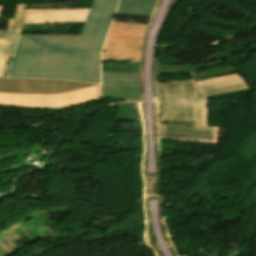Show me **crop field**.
<instances>
[{
  "instance_id": "crop-field-14",
  "label": "crop field",
  "mask_w": 256,
  "mask_h": 256,
  "mask_svg": "<svg viewBox=\"0 0 256 256\" xmlns=\"http://www.w3.org/2000/svg\"><path fill=\"white\" fill-rule=\"evenodd\" d=\"M25 3L18 4L14 19H9L6 30H21L23 24V15Z\"/></svg>"
},
{
  "instance_id": "crop-field-5",
  "label": "crop field",
  "mask_w": 256,
  "mask_h": 256,
  "mask_svg": "<svg viewBox=\"0 0 256 256\" xmlns=\"http://www.w3.org/2000/svg\"><path fill=\"white\" fill-rule=\"evenodd\" d=\"M91 85L93 84H85L65 80H30L0 78V90L41 94L61 93Z\"/></svg>"
},
{
  "instance_id": "crop-field-15",
  "label": "crop field",
  "mask_w": 256,
  "mask_h": 256,
  "mask_svg": "<svg viewBox=\"0 0 256 256\" xmlns=\"http://www.w3.org/2000/svg\"><path fill=\"white\" fill-rule=\"evenodd\" d=\"M2 59H3V58H0V67H1Z\"/></svg>"
},
{
  "instance_id": "crop-field-6",
  "label": "crop field",
  "mask_w": 256,
  "mask_h": 256,
  "mask_svg": "<svg viewBox=\"0 0 256 256\" xmlns=\"http://www.w3.org/2000/svg\"><path fill=\"white\" fill-rule=\"evenodd\" d=\"M198 103H207L206 95L248 88L237 74L195 82Z\"/></svg>"
},
{
  "instance_id": "crop-field-4",
  "label": "crop field",
  "mask_w": 256,
  "mask_h": 256,
  "mask_svg": "<svg viewBox=\"0 0 256 256\" xmlns=\"http://www.w3.org/2000/svg\"><path fill=\"white\" fill-rule=\"evenodd\" d=\"M146 28L144 24L113 22L102 59L139 61Z\"/></svg>"
},
{
  "instance_id": "crop-field-13",
  "label": "crop field",
  "mask_w": 256,
  "mask_h": 256,
  "mask_svg": "<svg viewBox=\"0 0 256 256\" xmlns=\"http://www.w3.org/2000/svg\"><path fill=\"white\" fill-rule=\"evenodd\" d=\"M119 113L115 120L140 121L138 110L132 105H118Z\"/></svg>"
},
{
  "instance_id": "crop-field-3",
  "label": "crop field",
  "mask_w": 256,
  "mask_h": 256,
  "mask_svg": "<svg viewBox=\"0 0 256 256\" xmlns=\"http://www.w3.org/2000/svg\"><path fill=\"white\" fill-rule=\"evenodd\" d=\"M100 100V85L55 95L0 91V107L62 109Z\"/></svg>"
},
{
  "instance_id": "crop-field-11",
  "label": "crop field",
  "mask_w": 256,
  "mask_h": 256,
  "mask_svg": "<svg viewBox=\"0 0 256 256\" xmlns=\"http://www.w3.org/2000/svg\"><path fill=\"white\" fill-rule=\"evenodd\" d=\"M19 33L16 31L0 32V57H4L0 77L4 75L7 57L12 55Z\"/></svg>"
},
{
  "instance_id": "crop-field-8",
  "label": "crop field",
  "mask_w": 256,
  "mask_h": 256,
  "mask_svg": "<svg viewBox=\"0 0 256 256\" xmlns=\"http://www.w3.org/2000/svg\"><path fill=\"white\" fill-rule=\"evenodd\" d=\"M156 0H121L116 14L150 17Z\"/></svg>"
},
{
  "instance_id": "crop-field-12",
  "label": "crop field",
  "mask_w": 256,
  "mask_h": 256,
  "mask_svg": "<svg viewBox=\"0 0 256 256\" xmlns=\"http://www.w3.org/2000/svg\"><path fill=\"white\" fill-rule=\"evenodd\" d=\"M221 62L210 63L200 66H189V65H180V66H171V67H158L156 76L160 75H170V74H181V73H189L191 70L204 68L212 65H219Z\"/></svg>"
},
{
  "instance_id": "crop-field-9",
  "label": "crop field",
  "mask_w": 256,
  "mask_h": 256,
  "mask_svg": "<svg viewBox=\"0 0 256 256\" xmlns=\"http://www.w3.org/2000/svg\"><path fill=\"white\" fill-rule=\"evenodd\" d=\"M102 85L139 86L137 74L101 72Z\"/></svg>"
},
{
  "instance_id": "crop-field-10",
  "label": "crop field",
  "mask_w": 256,
  "mask_h": 256,
  "mask_svg": "<svg viewBox=\"0 0 256 256\" xmlns=\"http://www.w3.org/2000/svg\"><path fill=\"white\" fill-rule=\"evenodd\" d=\"M102 98L140 99L139 87L102 86Z\"/></svg>"
},
{
  "instance_id": "crop-field-16",
  "label": "crop field",
  "mask_w": 256,
  "mask_h": 256,
  "mask_svg": "<svg viewBox=\"0 0 256 256\" xmlns=\"http://www.w3.org/2000/svg\"><path fill=\"white\" fill-rule=\"evenodd\" d=\"M2 8H3V6H0V13H1V11H2Z\"/></svg>"
},
{
  "instance_id": "crop-field-1",
  "label": "crop field",
  "mask_w": 256,
  "mask_h": 256,
  "mask_svg": "<svg viewBox=\"0 0 256 256\" xmlns=\"http://www.w3.org/2000/svg\"><path fill=\"white\" fill-rule=\"evenodd\" d=\"M118 2L94 0L80 35H20L10 77L100 83V53Z\"/></svg>"
},
{
  "instance_id": "crop-field-7",
  "label": "crop field",
  "mask_w": 256,
  "mask_h": 256,
  "mask_svg": "<svg viewBox=\"0 0 256 256\" xmlns=\"http://www.w3.org/2000/svg\"><path fill=\"white\" fill-rule=\"evenodd\" d=\"M89 9L26 10L25 24L85 22Z\"/></svg>"
},
{
  "instance_id": "crop-field-2",
  "label": "crop field",
  "mask_w": 256,
  "mask_h": 256,
  "mask_svg": "<svg viewBox=\"0 0 256 256\" xmlns=\"http://www.w3.org/2000/svg\"><path fill=\"white\" fill-rule=\"evenodd\" d=\"M159 86L165 98L160 120L194 121V127L159 125L160 139L217 143L219 128L207 127V104L196 105L192 79Z\"/></svg>"
}]
</instances>
